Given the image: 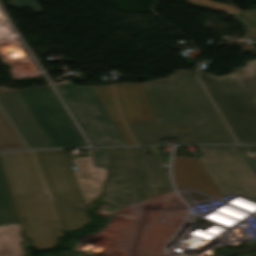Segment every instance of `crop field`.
I'll use <instances>...</instances> for the list:
<instances>
[{
    "label": "crop field",
    "instance_id": "8a807250",
    "mask_svg": "<svg viewBox=\"0 0 256 256\" xmlns=\"http://www.w3.org/2000/svg\"><path fill=\"white\" fill-rule=\"evenodd\" d=\"M143 84L157 121L126 123L138 145L161 144L158 136H175L178 143H236L192 71L175 70Z\"/></svg>",
    "mask_w": 256,
    "mask_h": 256
},
{
    "label": "crop field",
    "instance_id": "ac0d7876",
    "mask_svg": "<svg viewBox=\"0 0 256 256\" xmlns=\"http://www.w3.org/2000/svg\"><path fill=\"white\" fill-rule=\"evenodd\" d=\"M1 163L25 237L36 249L51 248L62 235L30 151L0 154Z\"/></svg>",
    "mask_w": 256,
    "mask_h": 256
},
{
    "label": "crop field",
    "instance_id": "34b2d1b8",
    "mask_svg": "<svg viewBox=\"0 0 256 256\" xmlns=\"http://www.w3.org/2000/svg\"><path fill=\"white\" fill-rule=\"evenodd\" d=\"M63 230L89 222L74 175L63 150L34 151Z\"/></svg>",
    "mask_w": 256,
    "mask_h": 256
},
{
    "label": "crop field",
    "instance_id": "412701ff",
    "mask_svg": "<svg viewBox=\"0 0 256 256\" xmlns=\"http://www.w3.org/2000/svg\"><path fill=\"white\" fill-rule=\"evenodd\" d=\"M198 74L239 143H256V106L235 73Z\"/></svg>",
    "mask_w": 256,
    "mask_h": 256
},
{
    "label": "crop field",
    "instance_id": "f4fd0767",
    "mask_svg": "<svg viewBox=\"0 0 256 256\" xmlns=\"http://www.w3.org/2000/svg\"><path fill=\"white\" fill-rule=\"evenodd\" d=\"M55 87L92 145H127L92 87H75L73 82Z\"/></svg>",
    "mask_w": 256,
    "mask_h": 256
},
{
    "label": "crop field",
    "instance_id": "dd49c442",
    "mask_svg": "<svg viewBox=\"0 0 256 256\" xmlns=\"http://www.w3.org/2000/svg\"><path fill=\"white\" fill-rule=\"evenodd\" d=\"M17 91L49 147L85 145L49 86L17 89Z\"/></svg>",
    "mask_w": 256,
    "mask_h": 256
},
{
    "label": "crop field",
    "instance_id": "e52e79f7",
    "mask_svg": "<svg viewBox=\"0 0 256 256\" xmlns=\"http://www.w3.org/2000/svg\"><path fill=\"white\" fill-rule=\"evenodd\" d=\"M198 159L215 186L256 199V175L236 147L197 146Z\"/></svg>",
    "mask_w": 256,
    "mask_h": 256
},
{
    "label": "crop field",
    "instance_id": "d8731c3e",
    "mask_svg": "<svg viewBox=\"0 0 256 256\" xmlns=\"http://www.w3.org/2000/svg\"><path fill=\"white\" fill-rule=\"evenodd\" d=\"M110 170L101 201L123 207L143 200L129 148L110 149Z\"/></svg>",
    "mask_w": 256,
    "mask_h": 256
},
{
    "label": "crop field",
    "instance_id": "5a996713",
    "mask_svg": "<svg viewBox=\"0 0 256 256\" xmlns=\"http://www.w3.org/2000/svg\"><path fill=\"white\" fill-rule=\"evenodd\" d=\"M0 104L30 148L48 147L16 89L0 87Z\"/></svg>",
    "mask_w": 256,
    "mask_h": 256
},
{
    "label": "crop field",
    "instance_id": "3316defc",
    "mask_svg": "<svg viewBox=\"0 0 256 256\" xmlns=\"http://www.w3.org/2000/svg\"><path fill=\"white\" fill-rule=\"evenodd\" d=\"M141 191L144 198L172 190L168 179L167 167L156 162L149 154H144L141 148H130Z\"/></svg>",
    "mask_w": 256,
    "mask_h": 256
},
{
    "label": "crop field",
    "instance_id": "28ad6ade",
    "mask_svg": "<svg viewBox=\"0 0 256 256\" xmlns=\"http://www.w3.org/2000/svg\"><path fill=\"white\" fill-rule=\"evenodd\" d=\"M114 88L125 121L155 120L142 83L116 84Z\"/></svg>",
    "mask_w": 256,
    "mask_h": 256
},
{
    "label": "crop field",
    "instance_id": "d1516ede",
    "mask_svg": "<svg viewBox=\"0 0 256 256\" xmlns=\"http://www.w3.org/2000/svg\"><path fill=\"white\" fill-rule=\"evenodd\" d=\"M86 158H72V164L77 171L73 172L82 196L87 206L100 195L101 188L107 176L106 168L94 167L91 149H85Z\"/></svg>",
    "mask_w": 256,
    "mask_h": 256
},
{
    "label": "crop field",
    "instance_id": "22f410ed",
    "mask_svg": "<svg viewBox=\"0 0 256 256\" xmlns=\"http://www.w3.org/2000/svg\"><path fill=\"white\" fill-rule=\"evenodd\" d=\"M173 177L177 188L196 189L214 186L197 157L175 156Z\"/></svg>",
    "mask_w": 256,
    "mask_h": 256
},
{
    "label": "crop field",
    "instance_id": "cbeb9de0",
    "mask_svg": "<svg viewBox=\"0 0 256 256\" xmlns=\"http://www.w3.org/2000/svg\"><path fill=\"white\" fill-rule=\"evenodd\" d=\"M19 224L0 227V256H22Z\"/></svg>",
    "mask_w": 256,
    "mask_h": 256
},
{
    "label": "crop field",
    "instance_id": "5142ce71",
    "mask_svg": "<svg viewBox=\"0 0 256 256\" xmlns=\"http://www.w3.org/2000/svg\"><path fill=\"white\" fill-rule=\"evenodd\" d=\"M18 222L17 214L0 163V226Z\"/></svg>",
    "mask_w": 256,
    "mask_h": 256
},
{
    "label": "crop field",
    "instance_id": "d9b57169",
    "mask_svg": "<svg viewBox=\"0 0 256 256\" xmlns=\"http://www.w3.org/2000/svg\"><path fill=\"white\" fill-rule=\"evenodd\" d=\"M24 148L26 146L0 110V151Z\"/></svg>",
    "mask_w": 256,
    "mask_h": 256
},
{
    "label": "crop field",
    "instance_id": "733c2abd",
    "mask_svg": "<svg viewBox=\"0 0 256 256\" xmlns=\"http://www.w3.org/2000/svg\"><path fill=\"white\" fill-rule=\"evenodd\" d=\"M246 67L233 69L256 104V60L245 62Z\"/></svg>",
    "mask_w": 256,
    "mask_h": 256
},
{
    "label": "crop field",
    "instance_id": "4a817a6b",
    "mask_svg": "<svg viewBox=\"0 0 256 256\" xmlns=\"http://www.w3.org/2000/svg\"><path fill=\"white\" fill-rule=\"evenodd\" d=\"M93 89L106 108L113 122H122L118 114L111 86L93 87Z\"/></svg>",
    "mask_w": 256,
    "mask_h": 256
},
{
    "label": "crop field",
    "instance_id": "bc2a9ffb",
    "mask_svg": "<svg viewBox=\"0 0 256 256\" xmlns=\"http://www.w3.org/2000/svg\"><path fill=\"white\" fill-rule=\"evenodd\" d=\"M95 166L110 168V153L108 149H92Z\"/></svg>",
    "mask_w": 256,
    "mask_h": 256
},
{
    "label": "crop field",
    "instance_id": "214f88e0",
    "mask_svg": "<svg viewBox=\"0 0 256 256\" xmlns=\"http://www.w3.org/2000/svg\"><path fill=\"white\" fill-rule=\"evenodd\" d=\"M188 2L190 4L196 5V6H201V7H206V8L216 9V10H222V11H227V12H231V13L237 12L234 8H232L228 5L211 2L208 0H188Z\"/></svg>",
    "mask_w": 256,
    "mask_h": 256
},
{
    "label": "crop field",
    "instance_id": "92a150f3",
    "mask_svg": "<svg viewBox=\"0 0 256 256\" xmlns=\"http://www.w3.org/2000/svg\"><path fill=\"white\" fill-rule=\"evenodd\" d=\"M7 3H9L10 5L16 8L29 5L34 12L36 13L41 12V9L39 8L35 0H11V1H7Z\"/></svg>",
    "mask_w": 256,
    "mask_h": 256
},
{
    "label": "crop field",
    "instance_id": "dafd665d",
    "mask_svg": "<svg viewBox=\"0 0 256 256\" xmlns=\"http://www.w3.org/2000/svg\"><path fill=\"white\" fill-rule=\"evenodd\" d=\"M236 17L238 21L241 22L247 28L249 36L256 39V27L240 14L236 15Z\"/></svg>",
    "mask_w": 256,
    "mask_h": 256
},
{
    "label": "crop field",
    "instance_id": "00972430",
    "mask_svg": "<svg viewBox=\"0 0 256 256\" xmlns=\"http://www.w3.org/2000/svg\"><path fill=\"white\" fill-rule=\"evenodd\" d=\"M128 145H135L123 123H115Z\"/></svg>",
    "mask_w": 256,
    "mask_h": 256
},
{
    "label": "crop field",
    "instance_id": "a9b5d70f",
    "mask_svg": "<svg viewBox=\"0 0 256 256\" xmlns=\"http://www.w3.org/2000/svg\"><path fill=\"white\" fill-rule=\"evenodd\" d=\"M196 191L202 192L204 194L210 195L212 197L220 196L221 193L217 189V187L212 188H204V189H196Z\"/></svg>",
    "mask_w": 256,
    "mask_h": 256
},
{
    "label": "crop field",
    "instance_id": "4177f3b9",
    "mask_svg": "<svg viewBox=\"0 0 256 256\" xmlns=\"http://www.w3.org/2000/svg\"><path fill=\"white\" fill-rule=\"evenodd\" d=\"M246 19L252 22L256 26V10L241 13Z\"/></svg>",
    "mask_w": 256,
    "mask_h": 256
},
{
    "label": "crop field",
    "instance_id": "730fd06b",
    "mask_svg": "<svg viewBox=\"0 0 256 256\" xmlns=\"http://www.w3.org/2000/svg\"><path fill=\"white\" fill-rule=\"evenodd\" d=\"M253 171L256 173V160H247Z\"/></svg>",
    "mask_w": 256,
    "mask_h": 256
},
{
    "label": "crop field",
    "instance_id": "eef30255",
    "mask_svg": "<svg viewBox=\"0 0 256 256\" xmlns=\"http://www.w3.org/2000/svg\"><path fill=\"white\" fill-rule=\"evenodd\" d=\"M249 256H256V251L251 253Z\"/></svg>",
    "mask_w": 256,
    "mask_h": 256
},
{
    "label": "crop field",
    "instance_id": "ae1a2a85",
    "mask_svg": "<svg viewBox=\"0 0 256 256\" xmlns=\"http://www.w3.org/2000/svg\"><path fill=\"white\" fill-rule=\"evenodd\" d=\"M254 203H256V202H254Z\"/></svg>",
    "mask_w": 256,
    "mask_h": 256
}]
</instances>
